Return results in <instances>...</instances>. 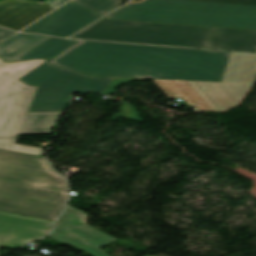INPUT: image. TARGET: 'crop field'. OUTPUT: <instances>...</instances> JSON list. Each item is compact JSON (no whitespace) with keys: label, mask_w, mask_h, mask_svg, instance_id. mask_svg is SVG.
<instances>
[{"label":"crop field","mask_w":256,"mask_h":256,"mask_svg":"<svg viewBox=\"0 0 256 256\" xmlns=\"http://www.w3.org/2000/svg\"><path fill=\"white\" fill-rule=\"evenodd\" d=\"M230 54L81 41L47 63L88 76L220 82Z\"/></svg>","instance_id":"8a807250"},{"label":"crop field","mask_w":256,"mask_h":256,"mask_svg":"<svg viewBox=\"0 0 256 256\" xmlns=\"http://www.w3.org/2000/svg\"><path fill=\"white\" fill-rule=\"evenodd\" d=\"M55 173L44 157L0 150V212L56 220L68 189Z\"/></svg>","instance_id":"ac0d7876"},{"label":"crop field","mask_w":256,"mask_h":256,"mask_svg":"<svg viewBox=\"0 0 256 256\" xmlns=\"http://www.w3.org/2000/svg\"><path fill=\"white\" fill-rule=\"evenodd\" d=\"M72 38L256 52V30L102 19Z\"/></svg>","instance_id":"34b2d1b8"},{"label":"crop field","mask_w":256,"mask_h":256,"mask_svg":"<svg viewBox=\"0 0 256 256\" xmlns=\"http://www.w3.org/2000/svg\"><path fill=\"white\" fill-rule=\"evenodd\" d=\"M106 18L256 29V0H141Z\"/></svg>","instance_id":"412701ff"},{"label":"crop field","mask_w":256,"mask_h":256,"mask_svg":"<svg viewBox=\"0 0 256 256\" xmlns=\"http://www.w3.org/2000/svg\"><path fill=\"white\" fill-rule=\"evenodd\" d=\"M48 60L4 63L0 58V149L44 156L45 149L15 144L18 134L50 133L62 112H28L38 87L18 79Z\"/></svg>","instance_id":"f4fd0767"},{"label":"crop field","mask_w":256,"mask_h":256,"mask_svg":"<svg viewBox=\"0 0 256 256\" xmlns=\"http://www.w3.org/2000/svg\"><path fill=\"white\" fill-rule=\"evenodd\" d=\"M153 81L170 99L182 97L187 104L195 106L196 112L228 111L240 105L253 87L246 84Z\"/></svg>","instance_id":"dd49c442"},{"label":"crop field","mask_w":256,"mask_h":256,"mask_svg":"<svg viewBox=\"0 0 256 256\" xmlns=\"http://www.w3.org/2000/svg\"><path fill=\"white\" fill-rule=\"evenodd\" d=\"M87 214L68 205L49 237L80 248L92 256H110L99 248L117 239L85 224Z\"/></svg>","instance_id":"e52e79f7"},{"label":"crop field","mask_w":256,"mask_h":256,"mask_svg":"<svg viewBox=\"0 0 256 256\" xmlns=\"http://www.w3.org/2000/svg\"><path fill=\"white\" fill-rule=\"evenodd\" d=\"M134 79L88 77L69 70H62L40 84L35 96H72L74 93L97 92L112 94L122 83Z\"/></svg>","instance_id":"d8731c3e"},{"label":"crop field","mask_w":256,"mask_h":256,"mask_svg":"<svg viewBox=\"0 0 256 256\" xmlns=\"http://www.w3.org/2000/svg\"><path fill=\"white\" fill-rule=\"evenodd\" d=\"M100 17L70 1L22 32L68 37Z\"/></svg>","instance_id":"5a996713"},{"label":"crop field","mask_w":256,"mask_h":256,"mask_svg":"<svg viewBox=\"0 0 256 256\" xmlns=\"http://www.w3.org/2000/svg\"><path fill=\"white\" fill-rule=\"evenodd\" d=\"M49 221L0 214V248L19 247L32 242L50 231Z\"/></svg>","instance_id":"3316defc"},{"label":"crop field","mask_w":256,"mask_h":256,"mask_svg":"<svg viewBox=\"0 0 256 256\" xmlns=\"http://www.w3.org/2000/svg\"><path fill=\"white\" fill-rule=\"evenodd\" d=\"M51 10L47 2L41 5L27 0L0 1V25L19 31Z\"/></svg>","instance_id":"28ad6ade"},{"label":"crop field","mask_w":256,"mask_h":256,"mask_svg":"<svg viewBox=\"0 0 256 256\" xmlns=\"http://www.w3.org/2000/svg\"><path fill=\"white\" fill-rule=\"evenodd\" d=\"M256 54L232 53L221 82L254 84Z\"/></svg>","instance_id":"d1516ede"},{"label":"crop field","mask_w":256,"mask_h":256,"mask_svg":"<svg viewBox=\"0 0 256 256\" xmlns=\"http://www.w3.org/2000/svg\"><path fill=\"white\" fill-rule=\"evenodd\" d=\"M50 37L18 33L8 41L0 44V56L5 61H13Z\"/></svg>","instance_id":"22f410ed"},{"label":"crop field","mask_w":256,"mask_h":256,"mask_svg":"<svg viewBox=\"0 0 256 256\" xmlns=\"http://www.w3.org/2000/svg\"><path fill=\"white\" fill-rule=\"evenodd\" d=\"M77 41L78 40L51 38L22 55L15 61L32 58H53L57 54L72 46Z\"/></svg>","instance_id":"cbeb9de0"},{"label":"crop field","mask_w":256,"mask_h":256,"mask_svg":"<svg viewBox=\"0 0 256 256\" xmlns=\"http://www.w3.org/2000/svg\"><path fill=\"white\" fill-rule=\"evenodd\" d=\"M62 69L63 68L45 63L19 80L29 86H39L40 83L47 80Z\"/></svg>","instance_id":"5142ce71"},{"label":"crop field","mask_w":256,"mask_h":256,"mask_svg":"<svg viewBox=\"0 0 256 256\" xmlns=\"http://www.w3.org/2000/svg\"><path fill=\"white\" fill-rule=\"evenodd\" d=\"M92 11L101 15H106L115 8L119 7L121 0H72Z\"/></svg>","instance_id":"d9b57169"},{"label":"crop field","mask_w":256,"mask_h":256,"mask_svg":"<svg viewBox=\"0 0 256 256\" xmlns=\"http://www.w3.org/2000/svg\"><path fill=\"white\" fill-rule=\"evenodd\" d=\"M119 117L143 123V121L139 118V114L131 103H121L120 112L116 113L112 120H118Z\"/></svg>","instance_id":"733c2abd"},{"label":"crop field","mask_w":256,"mask_h":256,"mask_svg":"<svg viewBox=\"0 0 256 256\" xmlns=\"http://www.w3.org/2000/svg\"><path fill=\"white\" fill-rule=\"evenodd\" d=\"M14 31L11 30H7V29H3L0 28V42H2L3 40H5L6 38L10 37L11 35H13Z\"/></svg>","instance_id":"4a817a6b"},{"label":"crop field","mask_w":256,"mask_h":256,"mask_svg":"<svg viewBox=\"0 0 256 256\" xmlns=\"http://www.w3.org/2000/svg\"><path fill=\"white\" fill-rule=\"evenodd\" d=\"M66 1H68V0H49V1H47L50 5H51V7L54 9L55 7H57V6H59V5H61V4H63L64 2H66ZM56 9V8H55Z\"/></svg>","instance_id":"bc2a9ffb"},{"label":"crop field","mask_w":256,"mask_h":256,"mask_svg":"<svg viewBox=\"0 0 256 256\" xmlns=\"http://www.w3.org/2000/svg\"><path fill=\"white\" fill-rule=\"evenodd\" d=\"M53 222V221H52Z\"/></svg>","instance_id":"214f88e0"}]
</instances>
